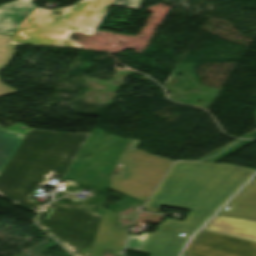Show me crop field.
Returning a JSON list of instances; mask_svg holds the SVG:
<instances>
[{
	"label": "crop field",
	"instance_id": "crop-field-14",
	"mask_svg": "<svg viewBox=\"0 0 256 256\" xmlns=\"http://www.w3.org/2000/svg\"><path fill=\"white\" fill-rule=\"evenodd\" d=\"M143 0H116L113 5L138 10Z\"/></svg>",
	"mask_w": 256,
	"mask_h": 256
},
{
	"label": "crop field",
	"instance_id": "crop-field-7",
	"mask_svg": "<svg viewBox=\"0 0 256 256\" xmlns=\"http://www.w3.org/2000/svg\"><path fill=\"white\" fill-rule=\"evenodd\" d=\"M182 224L166 218L156 233H149L141 251L151 254L150 256H178L188 239L177 237Z\"/></svg>",
	"mask_w": 256,
	"mask_h": 256
},
{
	"label": "crop field",
	"instance_id": "crop-field-13",
	"mask_svg": "<svg viewBox=\"0 0 256 256\" xmlns=\"http://www.w3.org/2000/svg\"><path fill=\"white\" fill-rule=\"evenodd\" d=\"M12 36L0 35V71L8 65L16 46L8 45ZM17 92L0 82V96Z\"/></svg>",
	"mask_w": 256,
	"mask_h": 256
},
{
	"label": "crop field",
	"instance_id": "crop-field-2",
	"mask_svg": "<svg viewBox=\"0 0 256 256\" xmlns=\"http://www.w3.org/2000/svg\"><path fill=\"white\" fill-rule=\"evenodd\" d=\"M89 134L30 129L0 175V195L38 213L31 194L52 176H64Z\"/></svg>",
	"mask_w": 256,
	"mask_h": 256
},
{
	"label": "crop field",
	"instance_id": "crop-field-10",
	"mask_svg": "<svg viewBox=\"0 0 256 256\" xmlns=\"http://www.w3.org/2000/svg\"><path fill=\"white\" fill-rule=\"evenodd\" d=\"M35 8L29 0L0 5V33L12 35L16 26Z\"/></svg>",
	"mask_w": 256,
	"mask_h": 256
},
{
	"label": "crop field",
	"instance_id": "crop-field-4",
	"mask_svg": "<svg viewBox=\"0 0 256 256\" xmlns=\"http://www.w3.org/2000/svg\"><path fill=\"white\" fill-rule=\"evenodd\" d=\"M100 217L80 209H66L50 203L44 207L36 221L74 256H89ZM89 221L91 224H88Z\"/></svg>",
	"mask_w": 256,
	"mask_h": 256
},
{
	"label": "crop field",
	"instance_id": "crop-field-11",
	"mask_svg": "<svg viewBox=\"0 0 256 256\" xmlns=\"http://www.w3.org/2000/svg\"><path fill=\"white\" fill-rule=\"evenodd\" d=\"M226 205L229 211L221 210L220 214L256 218V179H252Z\"/></svg>",
	"mask_w": 256,
	"mask_h": 256
},
{
	"label": "crop field",
	"instance_id": "crop-field-3",
	"mask_svg": "<svg viewBox=\"0 0 256 256\" xmlns=\"http://www.w3.org/2000/svg\"><path fill=\"white\" fill-rule=\"evenodd\" d=\"M114 1L81 0L52 11L35 8L17 26L9 44L83 48L68 40V34L72 31L93 34ZM55 12L62 14L57 16Z\"/></svg>",
	"mask_w": 256,
	"mask_h": 256
},
{
	"label": "crop field",
	"instance_id": "crop-field-1",
	"mask_svg": "<svg viewBox=\"0 0 256 256\" xmlns=\"http://www.w3.org/2000/svg\"><path fill=\"white\" fill-rule=\"evenodd\" d=\"M254 172L229 164L174 162L144 208L192 210L181 231L191 236Z\"/></svg>",
	"mask_w": 256,
	"mask_h": 256
},
{
	"label": "crop field",
	"instance_id": "crop-field-5",
	"mask_svg": "<svg viewBox=\"0 0 256 256\" xmlns=\"http://www.w3.org/2000/svg\"><path fill=\"white\" fill-rule=\"evenodd\" d=\"M129 166L126 179L114 176L110 188L140 201H147L169 168L171 160L138 150H125L118 161Z\"/></svg>",
	"mask_w": 256,
	"mask_h": 256
},
{
	"label": "crop field",
	"instance_id": "crop-field-12",
	"mask_svg": "<svg viewBox=\"0 0 256 256\" xmlns=\"http://www.w3.org/2000/svg\"><path fill=\"white\" fill-rule=\"evenodd\" d=\"M21 124H14L4 130L0 129V174L8 163L9 159L29 131L18 128Z\"/></svg>",
	"mask_w": 256,
	"mask_h": 256
},
{
	"label": "crop field",
	"instance_id": "crop-field-9",
	"mask_svg": "<svg viewBox=\"0 0 256 256\" xmlns=\"http://www.w3.org/2000/svg\"><path fill=\"white\" fill-rule=\"evenodd\" d=\"M203 230L256 242V221L216 216Z\"/></svg>",
	"mask_w": 256,
	"mask_h": 256
},
{
	"label": "crop field",
	"instance_id": "crop-field-16",
	"mask_svg": "<svg viewBox=\"0 0 256 256\" xmlns=\"http://www.w3.org/2000/svg\"><path fill=\"white\" fill-rule=\"evenodd\" d=\"M254 178H256V176Z\"/></svg>",
	"mask_w": 256,
	"mask_h": 256
},
{
	"label": "crop field",
	"instance_id": "crop-field-15",
	"mask_svg": "<svg viewBox=\"0 0 256 256\" xmlns=\"http://www.w3.org/2000/svg\"><path fill=\"white\" fill-rule=\"evenodd\" d=\"M254 116H255V120H256V115L254 114Z\"/></svg>",
	"mask_w": 256,
	"mask_h": 256
},
{
	"label": "crop field",
	"instance_id": "crop-field-8",
	"mask_svg": "<svg viewBox=\"0 0 256 256\" xmlns=\"http://www.w3.org/2000/svg\"><path fill=\"white\" fill-rule=\"evenodd\" d=\"M116 213L104 210L90 256H102L106 249L122 250L126 233L115 228Z\"/></svg>",
	"mask_w": 256,
	"mask_h": 256
},
{
	"label": "crop field",
	"instance_id": "crop-field-6",
	"mask_svg": "<svg viewBox=\"0 0 256 256\" xmlns=\"http://www.w3.org/2000/svg\"><path fill=\"white\" fill-rule=\"evenodd\" d=\"M183 256H256V243L201 230Z\"/></svg>",
	"mask_w": 256,
	"mask_h": 256
}]
</instances>
